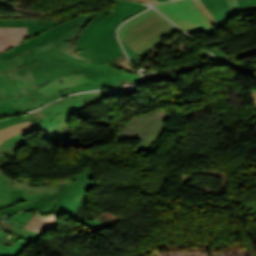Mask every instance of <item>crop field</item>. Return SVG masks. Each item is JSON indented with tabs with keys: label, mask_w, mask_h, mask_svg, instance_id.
Segmentation results:
<instances>
[{
	"label": "crop field",
	"mask_w": 256,
	"mask_h": 256,
	"mask_svg": "<svg viewBox=\"0 0 256 256\" xmlns=\"http://www.w3.org/2000/svg\"><path fill=\"white\" fill-rule=\"evenodd\" d=\"M19 56L25 65L33 62L39 64L29 70L36 80L33 86L37 89L58 77L81 73H85L88 81L71 88L73 92L120 87L118 77L135 83L140 81L137 75L121 72L107 65L85 62L53 48H36Z\"/></svg>",
	"instance_id": "8a807250"
},
{
	"label": "crop field",
	"mask_w": 256,
	"mask_h": 256,
	"mask_svg": "<svg viewBox=\"0 0 256 256\" xmlns=\"http://www.w3.org/2000/svg\"><path fill=\"white\" fill-rule=\"evenodd\" d=\"M35 128L28 129L23 133L7 140L0 145V150L13 156L14 150L28 140L23 137L36 130L52 133L70 122L71 114L56 103L26 116Z\"/></svg>",
	"instance_id": "dd49c442"
},
{
	"label": "crop field",
	"mask_w": 256,
	"mask_h": 256,
	"mask_svg": "<svg viewBox=\"0 0 256 256\" xmlns=\"http://www.w3.org/2000/svg\"><path fill=\"white\" fill-rule=\"evenodd\" d=\"M81 16H76L72 19L67 20L64 23H61L57 26H54L44 32H41L33 37L28 38L22 44L12 48L11 50L0 54L1 58L10 57L12 55L20 54L26 50H29L34 47H51L59 39H61L66 33H68L72 28L71 24L78 20Z\"/></svg>",
	"instance_id": "d8731c3e"
},
{
	"label": "crop field",
	"mask_w": 256,
	"mask_h": 256,
	"mask_svg": "<svg viewBox=\"0 0 256 256\" xmlns=\"http://www.w3.org/2000/svg\"><path fill=\"white\" fill-rule=\"evenodd\" d=\"M63 186H30V183L13 182L0 173V204H10L12 190H23L24 199L30 204L61 190Z\"/></svg>",
	"instance_id": "5a996713"
},
{
	"label": "crop field",
	"mask_w": 256,
	"mask_h": 256,
	"mask_svg": "<svg viewBox=\"0 0 256 256\" xmlns=\"http://www.w3.org/2000/svg\"><path fill=\"white\" fill-rule=\"evenodd\" d=\"M0 1H2V0H0Z\"/></svg>",
	"instance_id": "d23c7cc5"
},
{
	"label": "crop field",
	"mask_w": 256,
	"mask_h": 256,
	"mask_svg": "<svg viewBox=\"0 0 256 256\" xmlns=\"http://www.w3.org/2000/svg\"><path fill=\"white\" fill-rule=\"evenodd\" d=\"M61 215L63 214H52L44 219H41L37 214L24 226V228L33 230L43 235L46 231H53L58 224L55 221Z\"/></svg>",
	"instance_id": "d9b57169"
},
{
	"label": "crop field",
	"mask_w": 256,
	"mask_h": 256,
	"mask_svg": "<svg viewBox=\"0 0 256 256\" xmlns=\"http://www.w3.org/2000/svg\"><path fill=\"white\" fill-rule=\"evenodd\" d=\"M63 21H48L35 19H0V26L27 27L28 35L33 36Z\"/></svg>",
	"instance_id": "22f410ed"
},
{
	"label": "crop field",
	"mask_w": 256,
	"mask_h": 256,
	"mask_svg": "<svg viewBox=\"0 0 256 256\" xmlns=\"http://www.w3.org/2000/svg\"><path fill=\"white\" fill-rule=\"evenodd\" d=\"M214 55L218 56L219 58H221L223 61L229 59V57L227 55H225L221 50H219L218 48L210 50Z\"/></svg>",
	"instance_id": "d32e631a"
},
{
	"label": "crop field",
	"mask_w": 256,
	"mask_h": 256,
	"mask_svg": "<svg viewBox=\"0 0 256 256\" xmlns=\"http://www.w3.org/2000/svg\"><path fill=\"white\" fill-rule=\"evenodd\" d=\"M119 64H120L122 67H124L125 69H127V70H130V71H132V72L135 71V69L130 66V64L128 63L127 59H125V60L119 62Z\"/></svg>",
	"instance_id": "028f5c9d"
},
{
	"label": "crop field",
	"mask_w": 256,
	"mask_h": 256,
	"mask_svg": "<svg viewBox=\"0 0 256 256\" xmlns=\"http://www.w3.org/2000/svg\"><path fill=\"white\" fill-rule=\"evenodd\" d=\"M27 38L26 28L0 27V53L22 43Z\"/></svg>",
	"instance_id": "5142ce71"
},
{
	"label": "crop field",
	"mask_w": 256,
	"mask_h": 256,
	"mask_svg": "<svg viewBox=\"0 0 256 256\" xmlns=\"http://www.w3.org/2000/svg\"><path fill=\"white\" fill-rule=\"evenodd\" d=\"M75 181L76 183L65 184L61 191L30 204V207L26 208L25 210L38 209L39 213L51 212L67 192L74 196L85 198L87 189L79 179H76Z\"/></svg>",
	"instance_id": "28ad6ade"
},
{
	"label": "crop field",
	"mask_w": 256,
	"mask_h": 256,
	"mask_svg": "<svg viewBox=\"0 0 256 256\" xmlns=\"http://www.w3.org/2000/svg\"><path fill=\"white\" fill-rule=\"evenodd\" d=\"M216 5L218 6L223 18L226 20L227 22V18L232 17V14L225 2V0H214Z\"/></svg>",
	"instance_id": "730fd06b"
},
{
	"label": "crop field",
	"mask_w": 256,
	"mask_h": 256,
	"mask_svg": "<svg viewBox=\"0 0 256 256\" xmlns=\"http://www.w3.org/2000/svg\"><path fill=\"white\" fill-rule=\"evenodd\" d=\"M19 111L15 109L14 107L10 106L9 104L5 103L0 105V116L11 114V113H18Z\"/></svg>",
	"instance_id": "750c4746"
},
{
	"label": "crop field",
	"mask_w": 256,
	"mask_h": 256,
	"mask_svg": "<svg viewBox=\"0 0 256 256\" xmlns=\"http://www.w3.org/2000/svg\"><path fill=\"white\" fill-rule=\"evenodd\" d=\"M154 12H156V11L150 9V10H148V11H146V12H144V13H142V14H140V15H138V16L132 18V19H130V20L127 21L126 23H124V24L122 25L121 29H120V32H119V37H120V39L122 40V39L126 38V35L124 34V30H125L130 24H132V23H134V22H136V21H138V20H140V19H142V18H144V17H146V16H148V15L154 13Z\"/></svg>",
	"instance_id": "00972430"
},
{
	"label": "crop field",
	"mask_w": 256,
	"mask_h": 256,
	"mask_svg": "<svg viewBox=\"0 0 256 256\" xmlns=\"http://www.w3.org/2000/svg\"><path fill=\"white\" fill-rule=\"evenodd\" d=\"M40 234L35 233L33 231L29 232V234L24 237L23 239L28 240L30 242L36 243L37 239L39 238Z\"/></svg>",
	"instance_id": "120bbe31"
},
{
	"label": "crop field",
	"mask_w": 256,
	"mask_h": 256,
	"mask_svg": "<svg viewBox=\"0 0 256 256\" xmlns=\"http://www.w3.org/2000/svg\"><path fill=\"white\" fill-rule=\"evenodd\" d=\"M33 126L29 121L23 122L18 125L10 126L5 129L0 130V144L7 139L13 137L14 135L22 132L25 129L32 128Z\"/></svg>",
	"instance_id": "bc2a9ffb"
},
{
	"label": "crop field",
	"mask_w": 256,
	"mask_h": 256,
	"mask_svg": "<svg viewBox=\"0 0 256 256\" xmlns=\"http://www.w3.org/2000/svg\"><path fill=\"white\" fill-rule=\"evenodd\" d=\"M137 1H142V2H147V3L159 2L157 0H137Z\"/></svg>",
	"instance_id": "c035e120"
},
{
	"label": "crop field",
	"mask_w": 256,
	"mask_h": 256,
	"mask_svg": "<svg viewBox=\"0 0 256 256\" xmlns=\"http://www.w3.org/2000/svg\"><path fill=\"white\" fill-rule=\"evenodd\" d=\"M123 43V42H122ZM126 51L128 52L131 60L134 62V63H138L141 61L142 57H140L138 54H136L134 51H132L130 48H128L124 43H123Z\"/></svg>",
	"instance_id": "bd1437ed"
},
{
	"label": "crop field",
	"mask_w": 256,
	"mask_h": 256,
	"mask_svg": "<svg viewBox=\"0 0 256 256\" xmlns=\"http://www.w3.org/2000/svg\"><path fill=\"white\" fill-rule=\"evenodd\" d=\"M113 12H100L85 27L82 33L77 37L74 46L85 43L92 39L102 36L104 39L115 34L117 26L125 19L135 15L147 6L140 5L131 1L111 0Z\"/></svg>",
	"instance_id": "412701ff"
},
{
	"label": "crop field",
	"mask_w": 256,
	"mask_h": 256,
	"mask_svg": "<svg viewBox=\"0 0 256 256\" xmlns=\"http://www.w3.org/2000/svg\"><path fill=\"white\" fill-rule=\"evenodd\" d=\"M208 58H213V56H211L209 53H207L206 51L204 50H201Z\"/></svg>",
	"instance_id": "c21b1889"
},
{
	"label": "crop field",
	"mask_w": 256,
	"mask_h": 256,
	"mask_svg": "<svg viewBox=\"0 0 256 256\" xmlns=\"http://www.w3.org/2000/svg\"><path fill=\"white\" fill-rule=\"evenodd\" d=\"M209 13L214 17L220 26L226 24L213 0H201Z\"/></svg>",
	"instance_id": "92a150f3"
},
{
	"label": "crop field",
	"mask_w": 256,
	"mask_h": 256,
	"mask_svg": "<svg viewBox=\"0 0 256 256\" xmlns=\"http://www.w3.org/2000/svg\"><path fill=\"white\" fill-rule=\"evenodd\" d=\"M86 80L87 79L84 74L61 77V78H58V79L54 80L53 82L43 86L42 88H40L38 90L50 98L58 93H61L65 90L75 86V85H78Z\"/></svg>",
	"instance_id": "cbeb9de0"
},
{
	"label": "crop field",
	"mask_w": 256,
	"mask_h": 256,
	"mask_svg": "<svg viewBox=\"0 0 256 256\" xmlns=\"http://www.w3.org/2000/svg\"><path fill=\"white\" fill-rule=\"evenodd\" d=\"M232 14L241 12L240 9L238 8L236 0H226Z\"/></svg>",
	"instance_id": "1d83c4d3"
},
{
	"label": "crop field",
	"mask_w": 256,
	"mask_h": 256,
	"mask_svg": "<svg viewBox=\"0 0 256 256\" xmlns=\"http://www.w3.org/2000/svg\"><path fill=\"white\" fill-rule=\"evenodd\" d=\"M197 6L202 10V12L207 16V18L212 22V24L215 26L216 29L220 28V26L217 24V22L212 18V16L208 13V11L205 9L204 5L200 0H193Z\"/></svg>",
	"instance_id": "d3111659"
},
{
	"label": "crop field",
	"mask_w": 256,
	"mask_h": 256,
	"mask_svg": "<svg viewBox=\"0 0 256 256\" xmlns=\"http://www.w3.org/2000/svg\"><path fill=\"white\" fill-rule=\"evenodd\" d=\"M239 7L256 4V0H237Z\"/></svg>",
	"instance_id": "5866460e"
},
{
	"label": "crop field",
	"mask_w": 256,
	"mask_h": 256,
	"mask_svg": "<svg viewBox=\"0 0 256 256\" xmlns=\"http://www.w3.org/2000/svg\"><path fill=\"white\" fill-rule=\"evenodd\" d=\"M98 13L99 12L86 13L82 18H80L73 24L77 26L52 47L61 48L88 61L106 64L113 61L115 58L123 55L124 53L120 48L115 35L105 40L100 37L98 39L92 40L90 42L73 48V44L77 35L80 34V32L87 25V23Z\"/></svg>",
	"instance_id": "ac0d7876"
},
{
	"label": "crop field",
	"mask_w": 256,
	"mask_h": 256,
	"mask_svg": "<svg viewBox=\"0 0 256 256\" xmlns=\"http://www.w3.org/2000/svg\"><path fill=\"white\" fill-rule=\"evenodd\" d=\"M175 29L174 25L156 12L130 25L125 31L128 38L123 42L144 57L157 46L162 36Z\"/></svg>",
	"instance_id": "34b2d1b8"
},
{
	"label": "crop field",
	"mask_w": 256,
	"mask_h": 256,
	"mask_svg": "<svg viewBox=\"0 0 256 256\" xmlns=\"http://www.w3.org/2000/svg\"><path fill=\"white\" fill-rule=\"evenodd\" d=\"M26 207H28V204L26 202L20 203L16 206H10V207L0 210V215H7V214L15 213L23 208H26Z\"/></svg>",
	"instance_id": "eef30255"
},
{
	"label": "crop field",
	"mask_w": 256,
	"mask_h": 256,
	"mask_svg": "<svg viewBox=\"0 0 256 256\" xmlns=\"http://www.w3.org/2000/svg\"><path fill=\"white\" fill-rule=\"evenodd\" d=\"M21 66H24V63L21 61L19 56L9 58L6 60H0V71L11 69V68H18ZM0 88H4L9 99H15L13 87L11 88L8 87L1 72H0Z\"/></svg>",
	"instance_id": "733c2abd"
},
{
	"label": "crop field",
	"mask_w": 256,
	"mask_h": 256,
	"mask_svg": "<svg viewBox=\"0 0 256 256\" xmlns=\"http://www.w3.org/2000/svg\"><path fill=\"white\" fill-rule=\"evenodd\" d=\"M20 202H24L22 191H13L11 205L18 204ZM10 205H0V209L5 208Z\"/></svg>",
	"instance_id": "ae1a2a85"
},
{
	"label": "crop field",
	"mask_w": 256,
	"mask_h": 256,
	"mask_svg": "<svg viewBox=\"0 0 256 256\" xmlns=\"http://www.w3.org/2000/svg\"><path fill=\"white\" fill-rule=\"evenodd\" d=\"M153 5L188 33L204 31L208 34L216 32L214 26L192 0Z\"/></svg>",
	"instance_id": "e52e79f7"
},
{
	"label": "crop field",
	"mask_w": 256,
	"mask_h": 256,
	"mask_svg": "<svg viewBox=\"0 0 256 256\" xmlns=\"http://www.w3.org/2000/svg\"><path fill=\"white\" fill-rule=\"evenodd\" d=\"M119 93L103 95L102 91L92 93H82L71 97H66L56 103L62 106L65 110L71 114L78 110L104 98L115 97L125 95V90H118Z\"/></svg>",
	"instance_id": "d1516ede"
},
{
	"label": "crop field",
	"mask_w": 256,
	"mask_h": 256,
	"mask_svg": "<svg viewBox=\"0 0 256 256\" xmlns=\"http://www.w3.org/2000/svg\"><path fill=\"white\" fill-rule=\"evenodd\" d=\"M160 2H163V1H168V0H159Z\"/></svg>",
	"instance_id": "5d738f31"
},
{
	"label": "crop field",
	"mask_w": 256,
	"mask_h": 256,
	"mask_svg": "<svg viewBox=\"0 0 256 256\" xmlns=\"http://www.w3.org/2000/svg\"><path fill=\"white\" fill-rule=\"evenodd\" d=\"M91 173L90 168L85 169L84 171H82L81 173H79L78 175H76L75 177H73L74 179L79 177V179L81 180V182L86 186V188H90L92 185H94V182H91L89 175ZM92 174V173H91ZM91 176V175H90Z\"/></svg>",
	"instance_id": "a9b5d70f"
},
{
	"label": "crop field",
	"mask_w": 256,
	"mask_h": 256,
	"mask_svg": "<svg viewBox=\"0 0 256 256\" xmlns=\"http://www.w3.org/2000/svg\"><path fill=\"white\" fill-rule=\"evenodd\" d=\"M3 75L9 87L14 85L16 100H8L4 90L1 89L0 104L7 102L21 112H26L39 108L57 98H60L62 95L71 92L69 89L49 99L37 89L31 86V82L34 81V78L31 76L29 71L22 76H20L18 70L4 72Z\"/></svg>",
	"instance_id": "f4fd0767"
},
{
	"label": "crop field",
	"mask_w": 256,
	"mask_h": 256,
	"mask_svg": "<svg viewBox=\"0 0 256 256\" xmlns=\"http://www.w3.org/2000/svg\"><path fill=\"white\" fill-rule=\"evenodd\" d=\"M35 214L20 212L11 217L7 222L23 227Z\"/></svg>",
	"instance_id": "dafd665d"
},
{
	"label": "crop field",
	"mask_w": 256,
	"mask_h": 256,
	"mask_svg": "<svg viewBox=\"0 0 256 256\" xmlns=\"http://www.w3.org/2000/svg\"><path fill=\"white\" fill-rule=\"evenodd\" d=\"M29 244L30 243L19 239L11 248L4 246V248L0 252V256H19L23 249Z\"/></svg>",
	"instance_id": "214f88e0"
},
{
	"label": "crop field",
	"mask_w": 256,
	"mask_h": 256,
	"mask_svg": "<svg viewBox=\"0 0 256 256\" xmlns=\"http://www.w3.org/2000/svg\"><path fill=\"white\" fill-rule=\"evenodd\" d=\"M82 200V198L74 197L67 193L52 212H64L68 215H72Z\"/></svg>",
	"instance_id": "4a817a6b"
},
{
	"label": "crop field",
	"mask_w": 256,
	"mask_h": 256,
	"mask_svg": "<svg viewBox=\"0 0 256 256\" xmlns=\"http://www.w3.org/2000/svg\"><path fill=\"white\" fill-rule=\"evenodd\" d=\"M253 97H254V103H255V108H256V93H253Z\"/></svg>",
	"instance_id": "b54c1fbb"
},
{
	"label": "crop field",
	"mask_w": 256,
	"mask_h": 256,
	"mask_svg": "<svg viewBox=\"0 0 256 256\" xmlns=\"http://www.w3.org/2000/svg\"><path fill=\"white\" fill-rule=\"evenodd\" d=\"M35 65H37V63H33V64H31V65H27V66L18 68V70H19L20 74H23V73H25L26 71H28L29 69H31L32 67H34Z\"/></svg>",
	"instance_id": "e1f06a70"
},
{
	"label": "crop field",
	"mask_w": 256,
	"mask_h": 256,
	"mask_svg": "<svg viewBox=\"0 0 256 256\" xmlns=\"http://www.w3.org/2000/svg\"><path fill=\"white\" fill-rule=\"evenodd\" d=\"M171 115L164 110H158L148 116L135 117L122 129L118 138H141L161 121Z\"/></svg>",
	"instance_id": "3316defc"
},
{
	"label": "crop field",
	"mask_w": 256,
	"mask_h": 256,
	"mask_svg": "<svg viewBox=\"0 0 256 256\" xmlns=\"http://www.w3.org/2000/svg\"><path fill=\"white\" fill-rule=\"evenodd\" d=\"M29 231H30V230H27V229L22 228V230H21L16 236L22 238V237H24L25 235H27Z\"/></svg>",
	"instance_id": "0bd39190"
},
{
	"label": "crop field",
	"mask_w": 256,
	"mask_h": 256,
	"mask_svg": "<svg viewBox=\"0 0 256 256\" xmlns=\"http://www.w3.org/2000/svg\"><path fill=\"white\" fill-rule=\"evenodd\" d=\"M26 120L27 119L24 117V115L1 120L0 121V129L10 126V125L18 124V123H20L22 121H26Z\"/></svg>",
	"instance_id": "4177f3b9"
},
{
	"label": "crop field",
	"mask_w": 256,
	"mask_h": 256,
	"mask_svg": "<svg viewBox=\"0 0 256 256\" xmlns=\"http://www.w3.org/2000/svg\"><path fill=\"white\" fill-rule=\"evenodd\" d=\"M110 64H112V65H114V66H116V67H118V68L121 67V66H120L117 62H115V61L111 62Z\"/></svg>",
	"instance_id": "03da06ac"
},
{
	"label": "crop field",
	"mask_w": 256,
	"mask_h": 256,
	"mask_svg": "<svg viewBox=\"0 0 256 256\" xmlns=\"http://www.w3.org/2000/svg\"><path fill=\"white\" fill-rule=\"evenodd\" d=\"M83 225L86 226L87 228H89L90 230L94 231V232H98L99 231L98 229L94 228L93 226H91V225H89L87 223H85Z\"/></svg>",
	"instance_id": "b80d0937"
}]
</instances>
